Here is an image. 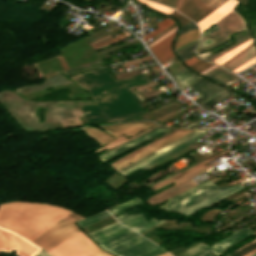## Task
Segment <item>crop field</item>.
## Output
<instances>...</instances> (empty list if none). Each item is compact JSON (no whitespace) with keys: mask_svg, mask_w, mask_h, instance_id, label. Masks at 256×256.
<instances>
[{"mask_svg":"<svg viewBox=\"0 0 256 256\" xmlns=\"http://www.w3.org/2000/svg\"><path fill=\"white\" fill-rule=\"evenodd\" d=\"M69 212L47 204H3L0 206V227L32 241Z\"/></svg>","mask_w":256,"mask_h":256,"instance_id":"crop-field-1","label":"crop field"},{"mask_svg":"<svg viewBox=\"0 0 256 256\" xmlns=\"http://www.w3.org/2000/svg\"><path fill=\"white\" fill-rule=\"evenodd\" d=\"M243 188L241 185L214 186L206 180L197 186L177 194L160 208L191 215L220 198Z\"/></svg>","mask_w":256,"mask_h":256,"instance_id":"crop-field-2","label":"crop field"},{"mask_svg":"<svg viewBox=\"0 0 256 256\" xmlns=\"http://www.w3.org/2000/svg\"><path fill=\"white\" fill-rule=\"evenodd\" d=\"M99 245L115 256H148L162 250L129 229L99 243Z\"/></svg>","mask_w":256,"mask_h":256,"instance_id":"crop-field-3","label":"crop field"},{"mask_svg":"<svg viewBox=\"0 0 256 256\" xmlns=\"http://www.w3.org/2000/svg\"><path fill=\"white\" fill-rule=\"evenodd\" d=\"M83 218L84 217L71 212L57 223H55L53 226L45 230L41 235L33 240V242L37 243L47 251L65 239L80 232L76 225L73 223Z\"/></svg>","mask_w":256,"mask_h":256,"instance_id":"crop-field-4","label":"crop field"},{"mask_svg":"<svg viewBox=\"0 0 256 256\" xmlns=\"http://www.w3.org/2000/svg\"><path fill=\"white\" fill-rule=\"evenodd\" d=\"M53 256H111L99 249L82 232L47 251Z\"/></svg>","mask_w":256,"mask_h":256,"instance_id":"crop-field-5","label":"crop field"},{"mask_svg":"<svg viewBox=\"0 0 256 256\" xmlns=\"http://www.w3.org/2000/svg\"><path fill=\"white\" fill-rule=\"evenodd\" d=\"M216 25L220 29L202 37L197 51L217 44L218 42L228 38L227 35L229 34L245 29L243 20L234 11L226 14L216 23Z\"/></svg>","mask_w":256,"mask_h":256,"instance_id":"crop-field-6","label":"crop field"},{"mask_svg":"<svg viewBox=\"0 0 256 256\" xmlns=\"http://www.w3.org/2000/svg\"><path fill=\"white\" fill-rule=\"evenodd\" d=\"M226 0H180L176 8L196 23Z\"/></svg>","mask_w":256,"mask_h":256,"instance_id":"crop-field-7","label":"crop field"},{"mask_svg":"<svg viewBox=\"0 0 256 256\" xmlns=\"http://www.w3.org/2000/svg\"><path fill=\"white\" fill-rule=\"evenodd\" d=\"M17 251L18 256H33L40 248L22 237L0 228V251L11 253Z\"/></svg>","mask_w":256,"mask_h":256,"instance_id":"crop-field-8","label":"crop field"},{"mask_svg":"<svg viewBox=\"0 0 256 256\" xmlns=\"http://www.w3.org/2000/svg\"><path fill=\"white\" fill-rule=\"evenodd\" d=\"M252 236H254V234L251 232L250 229L233 231L231 236H229V237L225 238L224 240L211 246V247L215 248L214 250L211 248H208L206 251H204L196 256H211L210 253L204 254L208 251H212L215 255H218V254L224 252L225 250H227L228 248H230L231 246H233L234 244L241 242L243 240H246Z\"/></svg>","mask_w":256,"mask_h":256,"instance_id":"crop-field-9","label":"crop field"},{"mask_svg":"<svg viewBox=\"0 0 256 256\" xmlns=\"http://www.w3.org/2000/svg\"><path fill=\"white\" fill-rule=\"evenodd\" d=\"M151 126H154V124L149 122H137L123 125L104 126L100 128L104 129L114 137L118 138L122 135L129 137L133 136Z\"/></svg>","mask_w":256,"mask_h":256,"instance_id":"crop-field-10","label":"crop field"},{"mask_svg":"<svg viewBox=\"0 0 256 256\" xmlns=\"http://www.w3.org/2000/svg\"><path fill=\"white\" fill-rule=\"evenodd\" d=\"M175 35L176 31L149 47V49L153 52V54L161 64L174 56L173 52L171 51V45Z\"/></svg>","mask_w":256,"mask_h":256,"instance_id":"crop-field-11","label":"crop field"},{"mask_svg":"<svg viewBox=\"0 0 256 256\" xmlns=\"http://www.w3.org/2000/svg\"><path fill=\"white\" fill-rule=\"evenodd\" d=\"M238 3L239 2H237L236 0H227L226 2H224L221 6L215 9L210 15H208L206 18H204L199 23H197L198 27L200 28V31L203 32L208 27L213 25L215 22L220 20L226 13L232 10L234 6Z\"/></svg>","mask_w":256,"mask_h":256,"instance_id":"crop-field-12","label":"crop field"},{"mask_svg":"<svg viewBox=\"0 0 256 256\" xmlns=\"http://www.w3.org/2000/svg\"><path fill=\"white\" fill-rule=\"evenodd\" d=\"M202 132H204V131L195 130L194 132L190 133L189 135H187V136H185V137H183V138H181L179 140H176V141H174V142L164 146L163 148H161V149H159V150H157V151H155V152H153V153H151V154L141 158L137 162H135V163H133V164H131V165H129V166H127V167L117 171V172L122 174L123 172H125V171H127L129 169H132V168H134V167H136V166H138V165H140V164H142V163H144V162H146V161H148V160H150V159H152V158L162 154L163 152H165V151H167V150H169V149H171V148H173V147H175V146H177V145H179V144H181V143H183V142H185V141H187V140H189V139H191V138H193V137H195L197 135H199Z\"/></svg>","mask_w":256,"mask_h":256,"instance_id":"crop-field-13","label":"crop field"},{"mask_svg":"<svg viewBox=\"0 0 256 256\" xmlns=\"http://www.w3.org/2000/svg\"><path fill=\"white\" fill-rule=\"evenodd\" d=\"M193 130H195V129L184 130V131H182V132H180V133H178V134H176V135H174V136H172V137H170V138H168V139H166V140H164V141H162V142H160V143H158V144H156V145H154V146H152V147H150V148H148L146 150H144L143 152L135 155L134 157H132L130 159H127V160H125V161H123V162L113 166V167L117 171L118 169H120V168H122V167H124V166H126V165H128V164H130V163H132V162H134L136 160H138L139 158H141V157H143V156L153 152L154 150H156V149H158V148H160V147H162V146H164V145H166V144H168V143H170V142H172V141H174V140H176V139H178V138H180V137H182V136H184V135H186V134H188L190 132H192Z\"/></svg>","mask_w":256,"mask_h":256,"instance_id":"crop-field-14","label":"crop field"},{"mask_svg":"<svg viewBox=\"0 0 256 256\" xmlns=\"http://www.w3.org/2000/svg\"><path fill=\"white\" fill-rule=\"evenodd\" d=\"M165 131H168V130L167 129L157 128L154 131H152V132H150V133H148V134H146V135H144V136H142V137H140V138H138V139H136L134 141H131V142H129L127 144H124V145H122L120 147H117V148H115L113 150H110V151L100 155L99 157H100V159L102 161H105V160L109 159L110 157H112V156H114V155H116V154H118V153H120V152H122V151H124V150H126V149H128V148H130L132 146H134V145H137V144H139V143H141V142H143V141H145L147 139H150V138H152V137H154V136H156L158 134H161V133H163Z\"/></svg>","mask_w":256,"mask_h":256,"instance_id":"crop-field-15","label":"crop field"},{"mask_svg":"<svg viewBox=\"0 0 256 256\" xmlns=\"http://www.w3.org/2000/svg\"><path fill=\"white\" fill-rule=\"evenodd\" d=\"M189 87H191L201 95L198 99H196L199 102L205 100L206 98H208L209 96H211L212 94H214L222 88L204 78L200 79L199 81L195 82Z\"/></svg>","mask_w":256,"mask_h":256,"instance_id":"crop-field-16","label":"crop field"},{"mask_svg":"<svg viewBox=\"0 0 256 256\" xmlns=\"http://www.w3.org/2000/svg\"><path fill=\"white\" fill-rule=\"evenodd\" d=\"M125 229H127V228H125L123 225L115 222L106 227H103L101 229L90 232V233H88V235L90 237H92L98 243V242H100L108 237H111Z\"/></svg>","mask_w":256,"mask_h":256,"instance_id":"crop-field-17","label":"crop field"},{"mask_svg":"<svg viewBox=\"0 0 256 256\" xmlns=\"http://www.w3.org/2000/svg\"><path fill=\"white\" fill-rule=\"evenodd\" d=\"M206 77H208L214 81H217L223 85H226V86L233 83L234 81L240 79L221 68L215 69L210 74H208Z\"/></svg>","mask_w":256,"mask_h":256,"instance_id":"crop-field-18","label":"crop field"},{"mask_svg":"<svg viewBox=\"0 0 256 256\" xmlns=\"http://www.w3.org/2000/svg\"><path fill=\"white\" fill-rule=\"evenodd\" d=\"M219 156H221V154H219V155H217V156H215V157H213V158H211V159H209V160H207L205 162H202V163H200V164H198V165H196V166H194V167H192V168H190V169H188L186 171H183V172H181V173H179V174H177V175H175V176H173V177H171L169 179H166V180H164V181H162V182H160V183L150 187V189L152 191H154V190H156V189H158L160 187H163V186H165V185H167V184H169L171 182H174V181H176V180H178V179H180V178H182V177H184V176H186V175H188V174H190V173H192V172H194V171L204 167L203 164H205V163H207V162H209V161H211V160H213V159H215V158H217Z\"/></svg>","mask_w":256,"mask_h":256,"instance_id":"crop-field-19","label":"crop field"},{"mask_svg":"<svg viewBox=\"0 0 256 256\" xmlns=\"http://www.w3.org/2000/svg\"><path fill=\"white\" fill-rule=\"evenodd\" d=\"M198 75L192 73L189 70H184L180 74H178L176 77H174L176 83L178 84L180 90L188 86L189 84L193 83L197 79H199Z\"/></svg>","mask_w":256,"mask_h":256,"instance_id":"crop-field-20","label":"crop field"},{"mask_svg":"<svg viewBox=\"0 0 256 256\" xmlns=\"http://www.w3.org/2000/svg\"><path fill=\"white\" fill-rule=\"evenodd\" d=\"M205 134H207V133L205 132V133H203V134H201V135H199V136H197V137H195V138H193V139H191V140H189V141H187V142H185V143H183V144H181V145H179V146H177V147H175V148H173V149H171V150H169V151H167V152H165V153H163L162 155H160V156H158V157H156V158H154V159H152V160H150V161H148V162H146V163H144V164H142V165H140V166H138V167H136V168H134V169H132V170H130V171H128V172H126V173H124V174L127 175V174H129V173H131V172H133V171L139 169L140 167H142V166L148 164L149 162H151V161H153V160H155V159H157V158H159V157H161V156H163V155H165V154H168V153H170V152H172V151H174V150H176V149H178V148H180V147H182V146H184V145H186V144H188V143L194 141L195 139H197V138H199V137H201V136H203V135H205ZM195 142H196V141H195ZM195 142H193V143H195ZM193 143H191V144H193ZM191 144H189V145H191ZM189 145H187V146H189ZM187 146H185V147H187ZM185 147H183V148H185ZM183 148H181V149H183ZM181 149H178V150H176V151H174V152H172V153H170V154H168V155H166V156H164V157H162V158H160V159H158V160H156V161H154V162H152V163H150V164L144 166L143 168H141V170L144 169V168H146V167H148V166H150V165H152V164H154V163H156V162H158V161H160V160H162V159H164V158H166V157H168V156H170V155H172L173 153H175V152H177V151H179V150H181Z\"/></svg>","mask_w":256,"mask_h":256,"instance_id":"crop-field-21","label":"crop field"},{"mask_svg":"<svg viewBox=\"0 0 256 256\" xmlns=\"http://www.w3.org/2000/svg\"><path fill=\"white\" fill-rule=\"evenodd\" d=\"M254 55H256V49L253 46L225 67L233 70L237 68L239 65H241L243 62L248 60L249 58L253 57Z\"/></svg>","mask_w":256,"mask_h":256,"instance_id":"crop-field-22","label":"crop field"},{"mask_svg":"<svg viewBox=\"0 0 256 256\" xmlns=\"http://www.w3.org/2000/svg\"><path fill=\"white\" fill-rule=\"evenodd\" d=\"M252 42H253V40L251 38L247 42H245L244 44H242V45L236 47L235 49H233L232 51H230V52L228 51L229 53L221 56L220 58L215 60L213 63H216L218 65L222 64L223 62L227 61L228 59H230L231 57L236 55L239 51L243 50L245 47H247Z\"/></svg>","mask_w":256,"mask_h":256,"instance_id":"crop-field-23","label":"crop field"},{"mask_svg":"<svg viewBox=\"0 0 256 256\" xmlns=\"http://www.w3.org/2000/svg\"><path fill=\"white\" fill-rule=\"evenodd\" d=\"M230 94H232V92L224 89L200 105L207 109L212 105L216 104L217 102H219L220 100L224 99L225 97L229 96Z\"/></svg>","mask_w":256,"mask_h":256,"instance_id":"crop-field-24","label":"crop field"},{"mask_svg":"<svg viewBox=\"0 0 256 256\" xmlns=\"http://www.w3.org/2000/svg\"><path fill=\"white\" fill-rule=\"evenodd\" d=\"M120 223L130 227L132 225H135L141 221H143V215H132V216H127L126 214L116 218Z\"/></svg>","mask_w":256,"mask_h":256,"instance_id":"crop-field-25","label":"crop field"},{"mask_svg":"<svg viewBox=\"0 0 256 256\" xmlns=\"http://www.w3.org/2000/svg\"><path fill=\"white\" fill-rule=\"evenodd\" d=\"M109 215H110V214H109L107 211L103 210V211H101V212H99V213H97V214H94V215H92V216H90V217H88V218H85V219H83V220H81V221H79V222H77V223H78V225H79L80 227H82V226H84V225L90 224V223H92V222H95V221H97V220H100V219H102V218H104V217H107V216H109Z\"/></svg>","mask_w":256,"mask_h":256,"instance_id":"crop-field-26","label":"crop field"},{"mask_svg":"<svg viewBox=\"0 0 256 256\" xmlns=\"http://www.w3.org/2000/svg\"><path fill=\"white\" fill-rule=\"evenodd\" d=\"M173 23H175V21L171 20L170 18H167V19L157 23L156 26H158L159 28L154 30L150 34L146 35L145 37H143V41L149 39L150 37L154 36L155 34L159 33L160 31L164 30L165 28L169 27Z\"/></svg>","mask_w":256,"mask_h":256,"instance_id":"crop-field-27","label":"crop field"},{"mask_svg":"<svg viewBox=\"0 0 256 256\" xmlns=\"http://www.w3.org/2000/svg\"><path fill=\"white\" fill-rule=\"evenodd\" d=\"M161 222H163V221L157 222L156 220L151 219L147 222L144 221V222H142L138 225H135L133 227H130V228L133 229L134 231L138 232V233H141V232H143V231H145V230H147V229H149V228H151V227H153V226H155V225H157Z\"/></svg>","mask_w":256,"mask_h":256,"instance_id":"crop-field-28","label":"crop field"},{"mask_svg":"<svg viewBox=\"0 0 256 256\" xmlns=\"http://www.w3.org/2000/svg\"><path fill=\"white\" fill-rule=\"evenodd\" d=\"M154 127H156V126H154ZM154 127H152V128H154ZM152 128H150V129H152ZM150 129H148V130H150ZM148 130H146V131H148ZM146 131H143V132H141V133H139V134H137V135H135V136H133V137H131V138H128V140H129V139H132V138H134V137H136V136H138V135H140V134H142V133H144V132H146ZM125 141H127V139L123 136V137H121V138H119V139H116V140H114V141H112V142H110V143H108V144H106V145H104V146H102V147L96 149L95 152L102 151V150H104V149H106V148L110 149V148H112V147H114V146H116V145H118V144H121V143H123V142H125ZM108 149H106V150H108ZM106 150H105V151H106Z\"/></svg>","mask_w":256,"mask_h":256,"instance_id":"crop-field-29","label":"crop field"},{"mask_svg":"<svg viewBox=\"0 0 256 256\" xmlns=\"http://www.w3.org/2000/svg\"><path fill=\"white\" fill-rule=\"evenodd\" d=\"M197 42L189 45V46H186L178 51H176L175 53L183 60L189 58L190 56L194 55L193 54V50H194V47L196 45Z\"/></svg>","mask_w":256,"mask_h":256,"instance_id":"crop-field-30","label":"crop field"},{"mask_svg":"<svg viewBox=\"0 0 256 256\" xmlns=\"http://www.w3.org/2000/svg\"><path fill=\"white\" fill-rule=\"evenodd\" d=\"M138 1L148 5L149 7L153 8L157 11L165 13L167 15H169L173 11V9H170V8L162 6V5L155 4V3L150 2V1H146V0H138Z\"/></svg>","mask_w":256,"mask_h":256,"instance_id":"crop-field-31","label":"crop field"},{"mask_svg":"<svg viewBox=\"0 0 256 256\" xmlns=\"http://www.w3.org/2000/svg\"><path fill=\"white\" fill-rule=\"evenodd\" d=\"M206 248H208V246L200 243V244L196 245L195 247H193L192 249L188 250L187 252L177 255V256H193L195 254L202 252Z\"/></svg>","mask_w":256,"mask_h":256,"instance_id":"crop-field-32","label":"crop field"},{"mask_svg":"<svg viewBox=\"0 0 256 256\" xmlns=\"http://www.w3.org/2000/svg\"><path fill=\"white\" fill-rule=\"evenodd\" d=\"M212 64H209L207 62H204L202 60L197 61L195 64H193L190 68L193 69L194 71L200 73L203 70L207 69L208 67H210Z\"/></svg>","mask_w":256,"mask_h":256,"instance_id":"crop-field-33","label":"crop field"},{"mask_svg":"<svg viewBox=\"0 0 256 256\" xmlns=\"http://www.w3.org/2000/svg\"><path fill=\"white\" fill-rule=\"evenodd\" d=\"M180 131H182V130H179V131H177V132H175V133H173V134H170V135H168V136H166V137H164V138H162V139H160V140H158V141H156V142H154V143H152V144H150V145H147V146H145V147H143V148L137 150L136 152H134V153H132V154H130V155L124 157L123 159H121V160L117 161L116 163L112 164L111 166H113V165L117 164L118 162L123 161V160H125V159H127V158H129V157H131V156H133V155H135V154H137V153L143 151L144 149H146V148H148V147H150V146H152V145H154V144H156V143H158V142H160V141H162V140H164V139H166V138H168V137H170V136H172V135H174V134H176V133H178V132H180Z\"/></svg>","mask_w":256,"mask_h":256,"instance_id":"crop-field-34","label":"crop field"},{"mask_svg":"<svg viewBox=\"0 0 256 256\" xmlns=\"http://www.w3.org/2000/svg\"><path fill=\"white\" fill-rule=\"evenodd\" d=\"M195 29H197L196 26L194 25L193 22L190 21L187 24H185L184 26H182L181 33H180L179 37H181V36L191 32V31H193Z\"/></svg>","mask_w":256,"mask_h":256,"instance_id":"crop-field-35","label":"crop field"},{"mask_svg":"<svg viewBox=\"0 0 256 256\" xmlns=\"http://www.w3.org/2000/svg\"><path fill=\"white\" fill-rule=\"evenodd\" d=\"M256 62V56H254L253 58L249 59L248 61H246L245 63H243L241 66H239L237 69L233 70L235 73L254 64Z\"/></svg>","mask_w":256,"mask_h":256,"instance_id":"crop-field-36","label":"crop field"},{"mask_svg":"<svg viewBox=\"0 0 256 256\" xmlns=\"http://www.w3.org/2000/svg\"><path fill=\"white\" fill-rule=\"evenodd\" d=\"M173 17H175L178 21H179V23H180V25H183V24H185L186 22H188V21H190V20H188L187 18H185L184 16H182L180 13H178L177 11H173V13L171 14Z\"/></svg>","mask_w":256,"mask_h":256,"instance_id":"crop-field-37","label":"crop field"},{"mask_svg":"<svg viewBox=\"0 0 256 256\" xmlns=\"http://www.w3.org/2000/svg\"><path fill=\"white\" fill-rule=\"evenodd\" d=\"M149 61V60H153L150 56H148V57H145V58H142V59H137V60H132V61H129V62H127V63H124V64H122L123 65V67H125V66H129V65H133V64H137V63H141L142 61Z\"/></svg>","mask_w":256,"mask_h":256,"instance_id":"crop-field-38","label":"crop field"},{"mask_svg":"<svg viewBox=\"0 0 256 256\" xmlns=\"http://www.w3.org/2000/svg\"><path fill=\"white\" fill-rule=\"evenodd\" d=\"M137 204H141V201L137 200V201H135V202H132V203H130V204H127V205H125V206H122V207H120V208L114 209V210L109 211V212H110L111 214H114V213H116V212H118V211H121V210H123V209H125V208H128V207L133 206V205H137Z\"/></svg>","mask_w":256,"mask_h":256,"instance_id":"crop-field-39","label":"crop field"},{"mask_svg":"<svg viewBox=\"0 0 256 256\" xmlns=\"http://www.w3.org/2000/svg\"><path fill=\"white\" fill-rule=\"evenodd\" d=\"M211 115H212V114H209V115H207V116H205V117H203V118H201V119H199V120H197V121H195V122H193V123L187 125L186 127H190V126H192V125H195V124H197V123H199V122L205 120L206 118H208V117L211 116Z\"/></svg>","mask_w":256,"mask_h":256,"instance_id":"crop-field-40","label":"crop field"},{"mask_svg":"<svg viewBox=\"0 0 256 256\" xmlns=\"http://www.w3.org/2000/svg\"><path fill=\"white\" fill-rule=\"evenodd\" d=\"M197 60H198V59L194 56V57H192V58H190V59H188V60H186V61H184V62H185V64L188 66V65L194 63V62L197 61Z\"/></svg>","mask_w":256,"mask_h":256,"instance_id":"crop-field-41","label":"crop field"},{"mask_svg":"<svg viewBox=\"0 0 256 256\" xmlns=\"http://www.w3.org/2000/svg\"><path fill=\"white\" fill-rule=\"evenodd\" d=\"M161 1H163V2H165L167 4H170V5L174 6V7L176 6V4L178 2V0H161Z\"/></svg>","mask_w":256,"mask_h":256,"instance_id":"crop-field-42","label":"crop field"},{"mask_svg":"<svg viewBox=\"0 0 256 256\" xmlns=\"http://www.w3.org/2000/svg\"><path fill=\"white\" fill-rule=\"evenodd\" d=\"M228 39H230V38H228ZM228 39H226V40L220 42L219 44H217V45H215V46H212V47H210V48H208V49L215 48V47L221 45L222 43H224L225 41H227ZM205 50H207V49H205ZM202 51H203V50H202ZM200 52H201V51H198V52H196V54H198V53H200Z\"/></svg>","mask_w":256,"mask_h":256,"instance_id":"crop-field-43","label":"crop field"},{"mask_svg":"<svg viewBox=\"0 0 256 256\" xmlns=\"http://www.w3.org/2000/svg\"><path fill=\"white\" fill-rule=\"evenodd\" d=\"M34 256H50V255H48V254H46V253H44V252H42L41 250L36 254V255H34Z\"/></svg>","mask_w":256,"mask_h":256,"instance_id":"crop-field-44","label":"crop field"},{"mask_svg":"<svg viewBox=\"0 0 256 256\" xmlns=\"http://www.w3.org/2000/svg\"><path fill=\"white\" fill-rule=\"evenodd\" d=\"M135 200H137V198H135V199H133V200H131V201H128V202H126V203H123V204H121V205H119V206H122V205H124V204H127V203L132 202V201H135ZM119 206H116V207L107 209V211H109V210H111V209H114V208H117V207H119Z\"/></svg>","mask_w":256,"mask_h":256,"instance_id":"crop-field-45","label":"crop field"},{"mask_svg":"<svg viewBox=\"0 0 256 256\" xmlns=\"http://www.w3.org/2000/svg\"><path fill=\"white\" fill-rule=\"evenodd\" d=\"M209 53H212V51H208V52H206V53H201V54H199V56L202 58V57L206 56V55L209 54Z\"/></svg>","mask_w":256,"mask_h":256,"instance_id":"crop-field-46","label":"crop field"},{"mask_svg":"<svg viewBox=\"0 0 256 256\" xmlns=\"http://www.w3.org/2000/svg\"><path fill=\"white\" fill-rule=\"evenodd\" d=\"M254 252H256V248H255L254 250L250 251L249 253L243 255V256H249L250 254H252V253H254Z\"/></svg>","mask_w":256,"mask_h":256,"instance_id":"crop-field-47","label":"crop field"},{"mask_svg":"<svg viewBox=\"0 0 256 256\" xmlns=\"http://www.w3.org/2000/svg\"><path fill=\"white\" fill-rule=\"evenodd\" d=\"M158 256H171L170 254H168L167 252L161 254V255H158Z\"/></svg>","mask_w":256,"mask_h":256,"instance_id":"crop-field-48","label":"crop field"},{"mask_svg":"<svg viewBox=\"0 0 256 256\" xmlns=\"http://www.w3.org/2000/svg\"><path fill=\"white\" fill-rule=\"evenodd\" d=\"M163 252H165V251L162 250V251H160V252H158V253H156V254H154V255H151V256H156V255L161 254V253H163Z\"/></svg>","mask_w":256,"mask_h":256,"instance_id":"crop-field-49","label":"crop field"},{"mask_svg":"<svg viewBox=\"0 0 256 256\" xmlns=\"http://www.w3.org/2000/svg\"><path fill=\"white\" fill-rule=\"evenodd\" d=\"M215 28H217V27L215 26V27H213L212 29H210L209 31H211V30H213V29H215ZM209 31H208V32H209ZM206 33H207V32H206Z\"/></svg>","mask_w":256,"mask_h":256,"instance_id":"crop-field-50","label":"crop field"},{"mask_svg":"<svg viewBox=\"0 0 256 256\" xmlns=\"http://www.w3.org/2000/svg\"><path fill=\"white\" fill-rule=\"evenodd\" d=\"M250 256H256V253H254V254H252V255H250Z\"/></svg>","mask_w":256,"mask_h":256,"instance_id":"crop-field-51","label":"crop field"}]
</instances>
